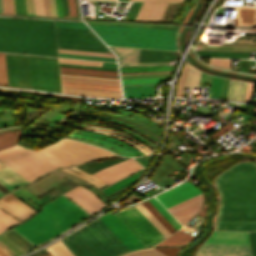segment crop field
<instances>
[{
  "mask_svg": "<svg viewBox=\"0 0 256 256\" xmlns=\"http://www.w3.org/2000/svg\"><path fill=\"white\" fill-rule=\"evenodd\" d=\"M220 207L216 229L256 230V164L243 161L216 178Z\"/></svg>",
  "mask_w": 256,
  "mask_h": 256,
  "instance_id": "obj_1",
  "label": "crop field"
},
{
  "mask_svg": "<svg viewBox=\"0 0 256 256\" xmlns=\"http://www.w3.org/2000/svg\"><path fill=\"white\" fill-rule=\"evenodd\" d=\"M116 156L101 148L64 139L37 153L14 147L0 152V161L29 182L53 168Z\"/></svg>",
  "mask_w": 256,
  "mask_h": 256,
  "instance_id": "obj_2",
  "label": "crop field"
},
{
  "mask_svg": "<svg viewBox=\"0 0 256 256\" xmlns=\"http://www.w3.org/2000/svg\"><path fill=\"white\" fill-rule=\"evenodd\" d=\"M0 51L57 56L53 22L0 19Z\"/></svg>",
  "mask_w": 256,
  "mask_h": 256,
  "instance_id": "obj_3",
  "label": "crop field"
},
{
  "mask_svg": "<svg viewBox=\"0 0 256 256\" xmlns=\"http://www.w3.org/2000/svg\"><path fill=\"white\" fill-rule=\"evenodd\" d=\"M88 216L77 204L62 195L43 205L32 219L13 229L36 246Z\"/></svg>",
  "mask_w": 256,
  "mask_h": 256,
  "instance_id": "obj_4",
  "label": "crop field"
},
{
  "mask_svg": "<svg viewBox=\"0 0 256 256\" xmlns=\"http://www.w3.org/2000/svg\"><path fill=\"white\" fill-rule=\"evenodd\" d=\"M108 45L159 50H175V32L171 29L89 25Z\"/></svg>",
  "mask_w": 256,
  "mask_h": 256,
  "instance_id": "obj_5",
  "label": "crop field"
},
{
  "mask_svg": "<svg viewBox=\"0 0 256 256\" xmlns=\"http://www.w3.org/2000/svg\"><path fill=\"white\" fill-rule=\"evenodd\" d=\"M61 241L75 256H116L129 251L100 218Z\"/></svg>",
  "mask_w": 256,
  "mask_h": 256,
  "instance_id": "obj_6",
  "label": "crop field"
},
{
  "mask_svg": "<svg viewBox=\"0 0 256 256\" xmlns=\"http://www.w3.org/2000/svg\"><path fill=\"white\" fill-rule=\"evenodd\" d=\"M32 88L60 93L57 58L28 56Z\"/></svg>",
  "mask_w": 256,
  "mask_h": 256,
  "instance_id": "obj_7",
  "label": "crop field"
},
{
  "mask_svg": "<svg viewBox=\"0 0 256 256\" xmlns=\"http://www.w3.org/2000/svg\"><path fill=\"white\" fill-rule=\"evenodd\" d=\"M113 214L144 246L155 245L165 239L135 206Z\"/></svg>",
  "mask_w": 256,
  "mask_h": 256,
  "instance_id": "obj_8",
  "label": "crop field"
},
{
  "mask_svg": "<svg viewBox=\"0 0 256 256\" xmlns=\"http://www.w3.org/2000/svg\"><path fill=\"white\" fill-rule=\"evenodd\" d=\"M58 48L107 52V47L91 30L55 27Z\"/></svg>",
  "mask_w": 256,
  "mask_h": 256,
  "instance_id": "obj_9",
  "label": "crop field"
},
{
  "mask_svg": "<svg viewBox=\"0 0 256 256\" xmlns=\"http://www.w3.org/2000/svg\"><path fill=\"white\" fill-rule=\"evenodd\" d=\"M9 86L31 88L27 56L5 54Z\"/></svg>",
  "mask_w": 256,
  "mask_h": 256,
  "instance_id": "obj_10",
  "label": "crop field"
},
{
  "mask_svg": "<svg viewBox=\"0 0 256 256\" xmlns=\"http://www.w3.org/2000/svg\"><path fill=\"white\" fill-rule=\"evenodd\" d=\"M139 169H142V167L138 165L132 158H130L103 169L93 175L109 185Z\"/></svg>",
  "mask_w": 256,
  "mask_h": 256,
  "instance_id": "obj_11",
  "label": "crop field"
},
{
  "mask_svg": "<svg viewBox=\"0 0 256 256\" xmlns=\"http://www.w3.org/2000/svg\"><path fill=\"white\" fill-rule=\"evenodd\" d=\"M195 256H251L249 246L203 244Z\"/></svg>",
  "mask_w": 256,
  "mask_h": 256,
  "instance_id": "obj_12",
  "label": "crop field"
},
{
  "mask_svg": "<svg viewBox=\"0 0 256 256\" xmlns=\"http://www.w3.org/2000/svg\"><path fill=\"white\" fill-rule=\"evenodd\" d=\"M200 192L201 191L197 189L192 183L187 182L157 196L156 198L166 208H168Z\"/></svg>",
  "mask_w": 256,
  "mask_h": 256,
  "instance_id": "obj_13",
  "label": "crop field"
},
{
  "mask_svg": "<svg viewBox=\"0 0 256 256\" xmlns=\"http://www.w3.org/2000/svg\"><path fill=\"white\" fill-rule=\"evenodd\" d=\"M71 199L75 200L80 204L84 209H86L91 214L105 206L93 192L87 190L82 186H77L70 191L64 193Z\"/></svg>",
  "mask_w": 256,
  "mask_h": 256,
  "instance_id": "obj_14",
  "label": "crop field"
},
{
  "mask_svg": "<svg viewBox=\"0 0 256 256\" xmlns=\"http://www.w3.org/2000/svg\"><path fill=\"white\" fill-rule=\"evenodd\" d=\"M202 201L203 197L201 193L195 197H192L186 201L168 208V210L182 225H184L198 212Z\"/></svg>",
  "mask_w": 256,
  "mask_h": 256,
  "instance_id": "obj_15",
  "label": "crop field"
},
{
  "mask_svg": "<svg viewBox=\"0 0 256 256\" xmlns=\"http://www.w3.org/2000/svg\"><path fill=\"white\" fill-rule=\"evenodd\" d=\"M100 218L130 250L143 246L113 214H108Z\"/></svg>",
  "mask_w": 256,
  "mask_h": 256,
  "instance_id": "obj_16",
  "label": "crop field"
},
{
  "mask_svg": "<svg viewBox=\"0 0 256 256\" xmlns=\"http://www.w3.org/2000/svg\"><path fill=\"white\" fill-rule=\"evenodd\" d=\"M0 208L20 220H23L36 212L14 197L11 193L0 199Z\"/></svg>",
  "mask_w": 256,
  "mask_h": 256,
  "instance_id": "obj_17",
  "label": "crop field"
},
{
  "mask_svg": "<svg viewBox=\"0 0 256 256\" xmlns=\"http://www.w3.org/2000/svg\"><path fill=\"white\" fill-rule=\"evenodd\" d=\"M206 243L249 245L247 232L214 231Z\"/></svg>",
  "mask_w": 256,
  "mask_h": 256,
  "instance_id": "obj_18",
  "label": "crop field"
},
{
  "mask_svg": "<svg viewBox=\"0 0 256 256\" xmlns=\"http://www.w3.org/2000/svg\"><path fill=\"white\" fill-rule=\"evenodd\" d=\"M21 176V175H20ZM0 162V184L11 190L19 185L29 183Z\"/></svg>",
  "mask_w": 256,
  "mask_h": 256,
  "instance_id": "obj_19",
  "label": "crop field"
},
{
  "mask_svg": "<svg viewBox=\"0 0 256 256\" xmlns=\"http://www.w3.org/2000/svg\"><path fill=\"white\" fill-rule=\"evenodd\" d=\"M177 56V51L166 52L141 49L138 62L175 61Z\"/></svg>",
  "mask_w": 256,
  "mask_h": 256,
  "instance_id": "obj_20",
  "label": "crop field"
},
{
  "mask_svg": "<svg viewBox=\"0 0 256 256\" xmlns=\"http://www.w3.org/2000/svg\"><path fill=\"white\" fill-rule=\"evenodd\" d=\"M200 57L249 58V52L194 50Z\"/></svg>",
  "mask_w": 256,
  "mask_h": 256,
  "instance_id": "obj_21",
  "label": "crop field"
},
{
  "mask_svg": "<svg viewBox=\"0 0 256 256\" xmlns=\"http://www.w3.org/2000/svg\"><path fill=\"white\" fill-rule=\"evenodd\" d=\"M117 55L119 63L137 62L140 49L109 46Z\"/></svg>",
  "mask_w": 256,
  "mask_h": 256,
  "instance_id": "obj_22",
  "label": "crop field"
},
{
  "mask_svg": "<svg viewBox=\"0 0 256 256\" xmlns=\"http://www.w3.org/2000/svg\"><path fill=\"white\" fill-rule=\"evenodd\" d=\"M22 253L34 247L13 229L1 234Z\"/></svg>",
  "mask_w": 256,
  "mask_h": 256,
  "instance_id": "obj_23",
  "label": "crop field"
},
{
  "mask_svg": "<svg viewBox=\"0 0 256 256\" xmlns=\"http://www.w3.org/2000/svg\"><path fill=\"white\" fill-rule=\"evenodd\" d=\"M156 86L123 87L124 97H149L155 96Z\"/></svg>",
  "mask_w": 256,
  "mask_h": 256,
  "instance_id": "obj_24",
  "label": "crop field"
},
{
  "mask_svg": "<svg viewBox=\"0 0 256 256\" xmlns=\"http://www.w3.org/2000/svg\"><path fill=\"white\" fill-rule=\"evenodd\" d=\"M21 129L0 131V150L16 145Z\"/></svg>",
  "mask_w": 256,
  "mask_h": 256,
  "instance_id": "obj_25",
  "label": "crop field"
},
{
  "mask_svg": "<svg viewBox=\"0 0 256 256\" xmlns=\"http://www.w3.org/2000/svg\"><path fill=\"white\" fill-rule=\"evenodd\" d=\"M67 136L76 137V138H82V139L90 140V141H93V142H97V143H100V144L105 145L107 147H110V148H112L114 150H117V151H119L121 153H124V154H126L128 156H137V155L131 153L130 151H128V150H126V149H124V148H122V147H120V146H118L116 144H113L111 142L105 141V140L100 139V138H96V137H92V136H88V135H81V134H69Z\"/></svg>",
  "mask_w": 256,
  "mask_h": 256,
  "instance_id": "obj_26",
  "label": "crop field"
},
{
  "mask_svg": "<svg viewBox=\"0 0 256 256\" xmlns=\"http://www.w3.org/2000/svg\"><path fill=\"white\" fill-rule=\"evenodd\" d=\"M142 204L148 209V211L163 225V227L171 234L176 231L169 222L154 208V206L148 201L142 202Z\"/></svg>",
  "mask_w": 256,
  "mask_h": 256,
  "instance_id": "obj_27",
  "label": "crop field"
},
{
  "mask_svg": "<svg viewBox=\"0 0 256 256\" xmlns=\"http://www.w3.org/2000/svg\"><path fill=\"white\" fill-rule=\"evenodd\" d=\"M141 171L142 170H140V171H138V172H136V173H134V174H132V175H130V176H128V177H126V178H124V179L114 183V184H112L111 186H109V187H107V188H105V189H103L101 191L105 195H107V194H109V193H111V192H113V191H115V190H117V189H119V188H121L123 186H126V185L134 182L135 179L137 178V176L140 174Z\"/></svg>",
  "mask_w": 256,
  "mask_h": 256,
  "instance_id": "obj_28",
  "label": "crop field"
},
{
  "mask_svg": "<svg viewBox=\"0 0 256 256\" xmlns=\"http://www.w3.org/2000/svg\"><path fill=\"white\" fill-rule=\"evenodd\" d=\"M46 250L52 256H74L61 241L51 245L50 247L46 248Z\"/></svg>",
  "mask_w": 256,
  "mask_h": 256,
  "instance_id": "obj_29",
  "label": "crop field"
},
{
  "mask_svg": "<svg viewBox=\"0 0 256 256\" xmlns=\"http://www.w3.org/2000/svg\"><path fill=\"white\" fill-rule=\"evenodd\" d=\"M149 201L170 222V224L176 230H178L181 227V225L168 213V211L155 198H151L149 199Z\"/></svg>",
  "mask_w": 256,
  "mask_h": 256,
  "instance_id": "obj_30",
  "label": "crop field"
},
{
  "mask_svg": "<svg viewBox=\"0 0 256 256\" xmlns=\"http://www.w3.org/2000/svg\"><path fill=\"white\" fill-rule=\"evenodd\" d=\"M201 72L189 67L184 87H198Z\"/></svg>",
  "mask_w": 256,
  "mask_h": 256,
  "instance_id": "obj_31",
  "label": "crop field"
},
{
  "mask_svg": "<svg viewBox=\"0 0 256 256\" xmlns=\"http://www.w3.org/2000/svg\"><path fill=\"white\" fill-rule=\"evenodd\" d=\"M78 133H84V134H89V135H93V136H97V137H100V138H103V139H106V140H109V141H112L114 143H117L119 145H122L128 149H130L131 151H133L135 154L137 155H144L142 154L140 151L136 150L135 148L131 147L130 145L120 141V140H117V139H114V138H111L109 136H106V135H102V134H97V133H92V132H86V131H76Z\"/></svg>",
  "mask_w": 256,
  "mask_h": 256,
  "instance_id": "obj_32",
  "label": "crop field"
},
{
  "mask_svg": "<svg viewBox=\"0 0 256 256\" xmlns=\"http://www.w3.org/2000/svg\"><path fill=\"white\" fill-rule=\"evenodd\" d=\"M173 66L174 65L156 66V67H132V68H120V70L121 72L172 70Z\"/></svg>",
  "mask_w": 256,
  "mask_h": 256,
  "instance_id": "obj_33",
  "label": "crop field"
},
{
  "mask_svg": "<svg viewBox=\"0 0 256 256\" xmlns=\"http://www.w3.org/2000/svg\"><path fill=\"white\" fill-rule=\"evenodd\" d=\"M54 24L55 26H61V27L89 29L83 22H77V21H54Z\"/></svg>",
  "mask_w": 256,
  "mask_h": 256,
  "instance_id": "obj_34",
  "label": "crop field"
},
{
  "mask_svg": "<svg viewBox=\"0 0 256 256\" xmlns=\"http://www.w3.org/2000/svg\"><path fill=\"white\" fill-rule=\"evenodd\" d=\"M0 85L8 86L4 54H0Z\"/></svg>",
  "mask_w": 256,
  "mask_h": 256,
  "instance_id": "obj_35",
  "label": "crop field"
},
{
  "mask_svg": "<svg viewBox=\"0 0 256 256\" xmlns=\"http://www.w3.org/2000/svg\"><path fill=\"white\" fill-rule=\"evenodd\" d=\"M6 91H15V92H21V93H28V94L52 96V97L64 98V99L75 100V101L80 100V98H77V97L63 96V95H56V94H48V93H41V92L22 91V90H12V89H7Z\"/></svg>",
  "mask_w": 256,
  "mask_h": 256,
  "instance_id": "obj_36",
  "label": "crop field"
},
{
  "mask_svg": "<svg viewBox=\"0 0 256 256\" xmlns=\"http://www.w3.org/2000/svg\"><path fill=\"white\" fill-rule=\"evenodd\" d=\"M59 56L116 61L115 58L58 53Z\"/></svg>",
  "mask_w": 256,
  "mask_h": 256,
  "instance_id": "obj_37",
  "label": "crop field"
},
{
  "mask_svg": "<svg viewBox=\"0 0 256 256\" xmlns=\"http://www.w3.org/2000/svg\"><path fill=\"white\" fill-rule=\"evenodd\" d=\"M168 78L122 79V83L160 82Z\"/></svg>",
  "mask_w": 256,
  "mask_h": 256,
  "instance_id": "obj_38",
  "label": "crop field"
},
{
  "mask_svg": "<svg viewBox=\"0 0 256 256\" xmlns=\"http://www.w3.org/2000/svg\"><path fill=\"white\" fill-rule=\"evenodd\" d=\"M58 52L115 57L113 54H107V53H96V52H85V51H74V50H63V49H58Z\"/></svg>",
  "mask_w": 256,
  "mask_h": 256,
  "instance_id": "obj_39",
  "label": "crop field"
},
{
  "mask_svg": "<svg viewBox=\"0 0 256 256\" xmlns=\"http://www.w3.org/2000/svg\"><path fill=\"white\" fill-rule=\"evenodd\" d=\"M187 68H188V65L185 64V66H184V68L182 70L181 76H180V80H179L176 96L181 97V95H182L183 85H184V81H185V77H186Z\"/></svg>",
  "mask_w": 256,
  "mask_h": 256,
  "instance_id": "obj_40",
  "label": "crop field"
},
{
  "mask_svg": "<svg viewBox=\"0 0 256 256\" xmlns=\"http://www.w3.org/2000/svg\"><path fill=\"white\" fill-rule=\"evenodd\" d=\"M59 65L60 66H65V67H77V68H89V69L117 71V68H109V67H95V66L74 65V64H64V63H59Z\"/></svg>",
  "mask_w": 256,
  "mask_h": 256,
  "instance_id": "obj_41",
  "label": "crop field"
},
{
  "mask_svg": "<svg viewBox=\"0 0 256 256\" xmlns=\"http://www.w3.org/2000/svg\"><path fill=\"white\" fill-rule=\"evenodd\" d=\"M221 81H222L221 78H217V77H214V76H213V78H212V83H211V87H210V89L215 90L213 97L218 98V96H219V91H220V86H221Z\"/></svg>",
  "mask_w": 256,
  "mask_h": 256,
  "instance_id": "obj_42",
  "label": "crop field"
},
{
  "mask_svg": "<svg viewBox=\"0 0 256 256\" xmlns=\"http://www.w3.org/2000/svg\"><path fill=\"white\" fill-rule=\"evenodd\" d=\"M210 64L216 65L218 67H227L230 68V59H216L210 58Z\"/></svg>",
  "mask_w": 256,
  "mask_h": 256,
  "instance_id": "obj_43",
  "label": "crop field"
},
{
  "mask_svg": "<svg viewBox=\"0 0 256 256\" xmlns=\"http://www.w3.org/2000/svg\"><path fill=\"white\" fill-rule=\"evenodd\" d=\"M180 247H158L155 248L167 256H176Z\"/></svg>",
  "mask_w": 256,
  "mask_h": 256,
  "instance_id": "obj_44",
  "label": "crop field"
},
{
  "mask_svg": "<svg viewBox=\"0 0 256 256\" xmlns=\"http://www.w3.org/2000/svg\"><path fill=\"white\" fill-rule=\"evenodd\" d=\"M59 62L76 63V64H88V65H99V62L84 61V60H74V59H64V58H59Z\"/></svg>",
  "mask_w": 256,
  "mask_h": 256,
  "instance_id": "obj_45",
  "label": "crop field"
},
{
  "mask_svg": "<svg viewBox=\"0 0 256 256\" xmlns=\"http://www.w3.org/2000/svg\"><path fill=\"white\" fill-rule=\"evenodd\" d=\"M4 13L15 14L13 0H2Z\"/></svg>",
  "mask_w": 256,
  "mask_h": 256,
  "instance_id": "obj_46",
  "label": "crop field"
},
{
  "mask_svg": "<svg viewBox=\"0 0 256 256\" xmlns=\"http://www.w3.org/2000/svg\"><path fill=\"white\" fill-rule=\"evenodd\" d=\"M16 14H26L24 0H14Z\"/></svg>",
  "mask_w": 256,
  "mask_h": 256,
  "instance_id": "obj_47",
  "label": "crop field"
},
{
  "mask_svg": "<svg viewBox=\"0 0 256 256\" xmlns=\"http://www.w3.org/2000/svg\"><path fill=\"white\" fill-rule=\"evenodd\" d=\"M19 191L22 194H24L26 197H28L30 200H32L34 203H36L38 206L44 204L43 202H41L37 197H35L32 193H30L26 189H20Z\"/></svg>",
  "mask_w": 256,
  "mask_h": 256,
  "instance_id": "obj_48",
  "label": "crop field"
},
{
  "mask_svg": "<svg viewBox=\"0 0 256 256\" xmlns=\"http://www.w3.org/2000/svg\"><path fill=\"white\" fill-rule=\"evenodd\" d=\"M167 62H155V63H131V64H119L120 67L129 66H147V65H165Z\"/></svg>",
  "mask_w": 256,
  "mask_h": 256,
  "instance_id": "obj_49",
  "label": "crop field"
},
{
  "mask_svg": "<svg viewBox=\"0 0 256 256\" xmlns=\"http://www.w3.org/2000/svg\"><path fill=\"white\" fill-rule=\"evenodd\" d=\"M36 15H44L42 0H34Z\"/></svg>",
  "mask_w": 256,
  "mask_h": 256,
  "instance_id": "obj_50",
  "label": "crop field"
},
{
  "mask_svg": "<svg viewBox=\"0 0 256 256\" xmlns=\"http://www.w3.org/2000/svg\"><path fill=\"white\" fill-rule=\"evenodd\" d=\"M26 11L29 15H35L33 0H25Z\"/></svg>",
  "mask_w": 256,
  "mask_h": 256,
  "instance_id": "obj_51",
  "label": "crop field"
},
{
  "mask_svg": "<svg viewBox=\"0 0 256 256\" xmlns=\"http://www.w3.org/2000/svg\"><path fill=\"white\" fill-rule=\"evenodd\" d=\"M253 255L256 256V231L255 232H249Z\"/></svg>",
  "mask_w": 256,
  "mask_h": 256,
  "instance_id": "obj_52",
  "label": "crop field"
},
{
  "mask_svg": "<svg viewBox=\"0 0 256 256\" xmlns=\"http://www.w3.org/2000/svg\"><path fill=\"white\" fill-rule=\"evenodd\" d=\"M253 86L254 84L253 83H249L247 89H246V94H245V99L244 101L246 102H250L251 100V95H252V91H253Z\"/></svg>",
  "mask_w": 256,
  "mask_h": 256,
  "instance_id": "obj_53",
  "label": "crop field"
},
{
  "mask_svg": "<svg viewBox=\"0 0 256 256\" xmlns=\"http://www.w3.org/2000/svg\"><path fill=\"white\" fill-rule=\"evenodd\" d=\"M57 16H63L61 0H55Z\"/></svg>",
  "mask_w": 256,
  "mask_h": 256,
  "instance_id": "obj_54",
  "label": "crop field"
},
{
  "mask_svg": "<svg viewBox=\"0 0 256 256\" xmlns=\"http://www.w3.org/2000/svg\"><path fill=\"white\" fill-rule=\"evenodd\" d=\"M64 16H70L68 0H62Z\"/></svg>",
  "mask_w": 256,
  "mask_h": 256,
  "instance_id": "obj_55",
  "label": "crop field"
},
{
  "mask_svg": "<svg viewBox=\"0 0 256 256\" xmlns=\"http://www.w3.org/2000/svg\"><path fill=\"white\" fill-rule=\"evenodd\" d=\"M71 16H76L75 0H69Z\"/></svg>",
  "mask_w": 256,
  "mask_h": 256,
  "instance_id": "obj_56",
  "label": "crop field"
},
{
  "mask_svg": "<svg viewBox=\"0 0 256 256\" xmlns=\"http://www.w3.org/2000/svg\"><path fill=\"white\" fill-rule=\"evenodd\" d=\"M124 256H150V255L145 253L144 251L140 250L138 252L127 254V255H124Z\"/></svg>",
  "mask_w": 256,
  "mask_h": 256,
  "instance_id": "obj_57",
  "label": "crop field"
},
{
  "mask_svg": "<svg viewBox=\"0 0 256 256\" xmlns=\"http://www.w3.org/2000/svg\"><path fill=\"white\" fill-rule=\"evenodd\" d=\"M144 251L149 253L152 256H165V255L161 254L160 252H158L154 249H147V250H144Z\"/></svg>",
  "mask_w": 256,
  "mask_h": 256,
  "instance_id": "obj_58",
  "label": "crop field"
},
{
  "mask_svg": "<svg viewBox=\"0 0 256 256\" xmlns=\"http://www.w3.org/2000/svg\"><path fill=\"white\" fill-rule=\"evenodd\" d=\"M51 16H56L54 0H49Z\"/></svg>",
  "mask_w": 256,
  "mask_h": 256,
  "instance_id": "obj_59",
  "label": "crop field"
},
{
  "mask_svg": "<svg viewBox=\"0 0 256 256\" xmlns=\"http://www.w3.org/2000/svg\"><path fill=\"white\" fill-rule=\"evenodd\" d=\"M43 2H44V11H45V15L50 16L48 0H43Z\"/></svg>",
  "mask_w": 256,
  "mask_h": 256,
  "instance_id": "obj_60",
  "label": "crop field"
},
{
  "mask_svg": "<svg viewBox=\"0 0 256 256\" xmlns=\"http://www.w3.org/2000/svg\"><path fill=\"white\" fill-rule=\"evenodd\" d=\"M101 66H112V67H117L115 63H107V62H101Z\"/></svg>",
  "mask_w": 256,
  "mask_h": 256,
  "instance_id": "obj_61",
  "label": "crop field"
},
{
  "mask_svg": "<svg viewBox=\"0 0 256 256\" xmlns=\"http://www.w3.org/2000/svg\"><path fill=\"white\" fill-rule=\"evenodd\" d=\"M0 191L5 194V193L8 192L9 190H7V189L4 188L2 185H0Z\"/></svg>",
  "mask_w": 256,
  "mask_h": 256,
  "instance_id": "obj_62",
  "label": "crop field"
},
{
  "mask_svg": "<svg viewBox=\"0 0 256 256\" xmlns=\"http://www.w3.org/2000/svg\"><path fill=\"white\" fill-rule=\"evenodd\" d=\"M0 256H10L4 250L0 248Z\"/></svg>",
  "mask_w": 256,
  "mask_h": 256,
  "instance_id": "obj_63",
  "label": "crop field"
},
{
  "mask_svg": "<svg viewBox=\"0 0 256 256\" xmlns=\"http://www.w3.org/2000/svg\"><path fill=\"white\" fill-rule=\"evenodd\" d=\"M0 13H3V9H2V1L0 0Z\"/></svg>",
  "mask_w": 256,
  "mask_h": 256,
  "instance_id": "obj_64",
  "label": "crop field"
},
{
  "mask_svg": "<svg viewBox=\"0 0 256 256\" xmlns=\"http://www.w3.org/2000/svg\"><path fill=\"white\" fill-rule=\"evenodd\" d=\"M1 91H4L5 89L0 88Z\"/></svg>",
  "mask_w": 256,
  "mask_h": 256,
  "instance_id": "obj_65",
  "label": "crop field"
},
{
  "mask_svg": "<svg viewBox=\"0 0 256 256\" xmlns=\"http://www.w3.org/2000/svg\"><path fill=\"white\" fill-rule=\"evenodd\" d=\"M44 256H51L50 254H48V255H44Z\"/></svg>",
  "mask_w": 256,
  "mask_h": 256,
  "instance_id": "obj_66",
  "label": "crop field"
},
{
  "mask_svg": "<svg viewBox=\"0 0 256 256\" xmlns=\"http://www.w3.org/2000/svg\"><path fill=\"white\" fill-rule=\"evenodd\" d=\"M3 194L0 192V196H2Z\"/></svg>",
  "mask_w": 256,
  "mask_h": 256,
  "instance_id": "obj_67",
  "label": "crop field"
}]
</instances>
